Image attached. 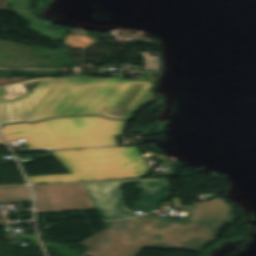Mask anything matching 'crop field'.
<instances>
[{"label":"crop field","mask_w":256,"mask_h":256,"mask_svg":"<svg viewBox=\"0 0 256 256\" xmlns=\"http://www.w3.org/2000/svg\"><path fill=\"white\" fill-rule=\"evenodd\" d=\"M154 83L87 77L45 78L27 93L22 83L0 87V123L63 115L130 119L153 97Z\"/></svg>","instance_id":"1"},{"label":"crop field","mask_w":256,"mask_h":256,"mask_svg":"<svg viewBox=\"0 0 256 256\" xmlns=\"http://www.w3.org/2000/svg\"><path fill=\"white\" fill-rule=\"evenodd\" d=\"M127 122L101 117L51 119L3 126L7 142L25 138L29 150L117 145Z\"/></svg>","instance_id":"2"},{"label":"crop field","mask_w":256,"mask_h":256,"mask_svg":"<svg viewBox=\"0 0 256 256\" xmlns=\"http://www.w3.org/2000/svg\"><path fill=\"white\" fill-rule=\"evenodd\" d=\"M51 153L72 174L28 177L31 184L134 178L149 172L136 146Z\"/></svg>","instance_id":"3"},{"label":"crop field","mask_w":256,"mask_h":256,"mask_svg":"<svg viewBox=\"0 0 256 256\" xmlns=\"http://www.w3.org/2000/svg\"><path fill=\"white\" fill-rule=\"evenodd\" d=\"M163 217L143 215L138 218L105 222L107 228L83 241L87 256H138L145 248Z\"/></svg>","instance_id":"4"},{"label":"crop field","mask_w":256,"mask_h":256,"mask_svg":"<svg viewBox=\"0 0 256 256\" xmlns=\"http://www.w3.org/2000/svg\"><path fill=\"white\" fill-rule=\"evenodd\" d=\"M224 225H233L232 220L193 222L165 218L145 247L199 252L220 235Z\"/></svg>","instance_id":"5"},{"label":"crop field","mask_w":256,"mask_h":256,"mask_svg":"<svg viewBox=\"0 0 256 256\" xmlns=\"http://www.w3.org/2000/svg\"><path fill=\"white\" fill-rule=\"evenodd\" d=\"M32 187L37 213L95 208L83 183Z\"/></svg>","instance_id":"6"},{"label":"crop field","mask_w":256,"mask_h":256,"mask_svg":"<svg viewBox=\"0 0 256 256\" xmlns=\"http://www.w3.org/2000/svg\"><path fill=\"white\" fill-rule=\"evenodd\" d=\"M133 181L84 183L103 220L134 216L132 211L124 207L121 193V187Z\"/></svg>","instance_id":"7"},{"label":"crop field","mask_w":256,"mask_h":256,"mask_svg":"<svg viewBox=\"0 0 256 256\" xmlns=\"http://www.w3.org/2000/svg\"><path fill=\"white\" fill-rule=\"evenodd\" d=\"M136 189L143 191V200L135 203V210L152 212L161 201L169 199L170 187L167 178L135 180Z\"/></svg>","instance_id":"8"},{"label":"crop field","mask_w":256,"mask_h":256,"mask_svg":"<svg viewBox=\"0 0 256 256\" xmlns=\"http://www.w3.org/2000/svg\"><path fill=\"white\" fill-rule=\"evenodd\" d=\"M181 210L186 212L187 219L191 220L235 218L232 207L221 199L182 208Z\"/></svg>","instance_id":"9"},{"label":"crop field","mask_w":256,"mask_h":256,"mask_svg":"<svg viewBox=\"0 0 256 256\" xmlns=\"http://www.w3.org/2000/svg\"><path fill=\"white\" fill-rule=\"evenodd\" d=\"M16 13L31 23V25L28 27L29 29L40 33V35L43 37H47L57 41H63L65 35L67 34V31L50 29L49 24H46L44 22L31 18L28 15V13H24V12H16Z\"/></svg>","instance_id":"10"},{"label":"crop field","mask_w":256,"mask_h":256,"mask_svg":"<svg viewBox=\"0 0 256 256\" xmlns=\"http://www.w3.org/2000/svg\"><path fill=\"white\" fill-rule=\"evenodd\" d=\"M31 201L27 186L0 187V202Z\"/></svg>","instance_id":"11"},{"label":"crop field","mask_w":256,"mask_h":256,"mask_svg":"<svg viewBox=\"0 0 256 256\" xmlns=\"http://www.w3.org/2000/svg\"><path fill=\"white\" fill-rule=\"evenodd\" d=\"M93 42H95V41H93L85 36L76 35V34H73V36L67 34L64 39L65 45L70 48H85L88 45L92 44Z\"/></svg>","instance_id":"12"},{"label":"crop field","mask_w":256,"mask_h":256,"mask_svg":"<svg viewBox=\"0 0 256 256\" xmlns=\"http://www.w3.org/2000/svg\"><path fill=\"white\" fill-rule=\"evenodd\" d=\"M11 10L27 11L30 6V0H10Z\"/></svg>","instance_id":"13"},{"label":"crop field","mask_w":256,"mask_h":256,"mask_svg":"<svg viewBox=\"0 0 256 256\" xmlns=\"http://www.w3.org/2000/svg\"><path fill=\"white\" fill-rule=\"evenodd\" d=\"M8 224L6 220L0 221V225Z\"/></svg>","instance_id":"14"},{"label":"crop field","mask_w":256,"mask_h":256,"mask_svg":"<svg viewBox=\"0 0 256 256\" xmlns=\"http://www.w3.org/2000/svg\"><path fill=\"white\" fill-rule=\"evenodd\" d=\"M0 145H5L4 142L0 138Z\"/></svg>","instance_id":"15"}]
</instances>
